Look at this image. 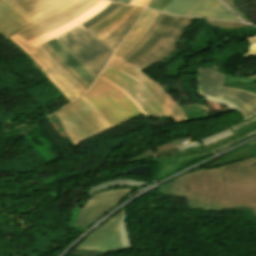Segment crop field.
<instances>
[{
	"label": "crop field",
	"mask_w": 256,
	"mask_h": 256,
	"mask_svg": "<svg viewBox=\"0 0 256 256\" xmlns=\"http://www.w3.org/2000/svg\"><path fill=\"white\" fill-rule=\"evenodd\" d=\"M174 179L158 190L186 197V206L212 212L242 209L256 215V159L245 149Z\"/></svg>",
	"instance_id": "crop-field-1"
},
{
	"label": "crop field",
	"mask_w": 256,
	"mask_h": 256,
	"mask_svg": "<svg viewBox=\"0 0 256 256\" xmlns=\"http://www.w3.org/2000/svg\"><path fill=\"white\" fill-rule=\"evenodd\" d=\"M35 25L18 33L26 41L85 13L101 0H11Z\"/></svg>",
	"instance_id": "crop-field-2"
},
{
	"label": "crop field",
	"mask_w": 256,
	"mask_h": 256,
	"mask_svg": "<svg viewBox=\"0 0 256 256\" xmlns=\"http://www.w3.org/2000/svg\"><path fill=\"white\" fill-rule=\"evenodd\" d=\"M83 96L113 128L143 115L126 94L99 77Z\"/></svg>",
	"instance_id": "crop-field-3"
},
{
	"label": "crop field",
	"mask_w": 256,
	"mask_h": 256,
	"mask_svg": "<svg viewBox=\"0 0 256 256\" xmlns=\"http://www.w3.org/2000/svg\"><path fill=\"white\" fill-rule=\"evenodd\" d=\"M56 40L96 79L114 53L83 26L59 36Z\"/></svg>",
	"instance_id": "crop-field-4"
},
{
	"label": "crop field",
	"mask_w": 256,
	"mask_h": 256,
	"mask_svg": "<svg viewBox=\"0 0 256 256\" xmlns=\"http://www.w3.org/2000/svg\"><path fill=\"white\" fill-rule=\"evenodd\" d=\"M56 114L72 142H78L111 128L104 118L82 96Z\"/></svg>",
	"instance_id": "crop-field-5"
},
{
	"label": "crop field",
	"mask_w": 256,
	"mask_h": 256,
	"mask_svg": "<svg viewBox=\"0 0 256 256\" xmlns=\"http://www.w3.org/2000/svg\"><path fill=\"white\" fill-rule=\"evenodd\" d=\"M99 77L125 92L144 116H170L165 107L131 75L106 65Z\"/></svg>",
	"instance_id": "crop-field-6"
},
{
	"label": "crop field",
	"mask_w": 256,
	"mask_h": 256,
	"mask_svg": "<svg viewBox=\"0 0 256 256\" xmlns=\"http://www.w3.org/2000/svg\"><path fill=\"white\" fill-rule=\"evenodd\" d=\"M21 48H23L29 56H31L44 69V74L53 82V84L63 93V95L71 102L85 90L76 83L39 45L35 48L31 47L25 40L17 34L10 37ZM22 49V50H23Z\"/></svg>",
	"instance_id": "crop-field-7"
},
{
	"label": "crop field",
	"mask_w": 256,
	"mask_h": 256,
	"mask_svg": "<svg viewBox=\"0 0 256 256\" xmlns=\"http://www.w3.org/2000/svg\"><path fill=\"white\" fill-rule=\"evenodd\" d=\"M137 188H117L93 194L81 208L76 226L86 230Z\"/></svg>",
	"instance_id": "crop-field-8"
},
{
	"label": "crop field",
	"mask_w": 256,
	"mask_h": 256,
	"mask_svg": "<svg viewBox=\"0 0 256 256\" xmlns=\"http://www.w3.org/2000/svg\"><path fill=\"white\" fill-rule=\"evenodd\" d=\"M108 65L121 69L138 79L140 83L166 107L170 115L178 122V124L187 121L185 114L172 97L165 93L160 85L143 74L135 66L125 63L113 56L108 62Z\"/></svg>",
	"instance_id": "crop-field-9"
},
{
	"label": "crop field",
	"mask_w": 256,
	"mask_h": 256,
	"mask_svg": "<svg viewBox=\"0 0 256 256\" xmlns=\"http://www.w3.org/2000/svg\"><path fill=\"white\" fill-rule=\"evenodd\" d=\"M193 19L194 18L176 17L158 46L141 61L133 65L143 71L170 55L176 48V43L181 34Z\"/></svg>",
	"instance_id": "crop-field-10"
},
{
	"label": "crop field",
	"mask_w": 256,
	"mask_h": 256,
	"mask_svg": "<svg viewBox=\"0 0 256 256\" xmlns=\"http://www.w3.org/2000/svg\"><path fill=\"white\" fill-rule=\"evenodd\" d=\"M143 10L144 8L133 6L132 9L124 14L118 21L107 29L95 34V36L115 52L117 46L134 25Z\"/></svg>",
	"instance_id": "crop-field-11"
},
{
	"label": "crop field",
	"mask_w": 256,
	"mask_h": 256,
	"mask_svg": "<svg viewBox=\"0 0 256 256\" xmlns=\"http://www.w3.org/2000/svg\"><path fill=\"white\" fill-rule=\"evenodd\" d=\"M33 23L10 1L0 0V34L8 38Z\"/></svg>",
	"instance_id": "crop-field-12"
},
{
	"label": "crop field",
	"mask_w": 256,
	"mask_h": 256,
	"mask_svg": "<svg viewBox=\"0 0 256 256\" xmlns=\"http://www.w3.org/2000/svg\"><path fill=\"white\" fill-rule=\"evenodd\" d=\"M74 250L110 253L123 250L119 232L103 233L94 231Z\"/></svg>",
	"instance_id": "crop-field-13"
},
{
	"label": "crop field",
	"mask_w": 256,
	"mask_h": 256,
	"mask_svg": "<svg viewBox=\"0 0 256 256\" xmlns=\"http://www.w3.org/2000/svg\"><path fill=\"white\" fill-rule=\"evenodd\" d=\"M157 14H158L157 11L145 9L140 20L130 31V33L128 34L126 39L123 41L119 49L116 51L114 56L121 59L134 46V44L142 37V35L145 33V31L154 21Z\"/></svg>",
	"instance_id": "crop-field-14"
},
{
	"label": "crop field",
	"mask_w": 256,
	"mask_h": 256,
	"mask_svg": "<svg viewBox=\"0 0 256 256\" xmlns=\"http://www.w3.org/2000/svg\"><path fill=\"white\" fill-rule=\"evenodd\" d=\"M188 16L241 22L218 0H202Z\"/></svg>",
	"instance_id": "crop-field-15"
},
{
	"label": "crop field",
	"mask_w": 256,
	"mask_h": 256,
	"mask_svg": "<svg viewBox=\"0 0 256 256\" xmlns=\"http://www.w3.org/2000/svg\"><path fill=\"white\" fill-rule=\"evenodd\" d=\"M174 19V16L164 14L162 19L155 27L151 36L138 48V50L130 58L128 57L129 59L126 60V62L133 64L141 60L144 56L151 52L159 43L165 31Z\"/></svg>",
	"instance_id": "crop-field-16"
},
{
	"label": "crop field",
	"mask_w": 256,
	"mask_h": 256,
	"mask_svg": "<svg viewBox=\"0 0 256 256\" xmlns=\"http://www.w3.org/2000/svg\"><path fill=\"white\" fill-rule=\"evenodd\" d=\"M221 99H225L237 106L245 118L256 112V95L242 90L222 87Z\"/></svg>",
	"instance_id": "crop-field-17"
},
{
	"label": "crop field",
	"mask_w": 256,
	"mask_h": 256,
	"mask_svg": "<svg viewBox=\"0 0 256 256\" xmlns=\"http://www.w3.org/2000/svg\"><path fill=\"white\" fill-rule=\"evenodd\" d=\"M111 1L108 0H103L101 1L98 5H96L94 8H92L91 10H89L88 12H86L85 14L81 15L80 17H78L77 19L45 34L42 35L40 37H37L33 40L28 41V43L30 45H32L33 47L44 43L50 39H53L61 34H63L64 32L80 25L82 22H84L85 20L89 19L90 17H92L94 14H96L98 11H100L102 8H104L106 5H108Z\"/></svg>",
	"instance_id": "crop-field-18"
},
{
	"label": "crop field",
	"mask_w": 256,
	"mask_h": 256,
	"mask_svg": "<svg viewBox=\"0 0 256 256\" xmlns=\"http://www.w3.org/2000/svg\"><path fill=\"white\" fill-rule=\"evenodd\" d=\"M223 75L199 67V93L219 98Z\"/></svg>",
	"instance_id": "crop-field-19"
},
{
	"label": "crop field",
	"mask_w": 256,
	"mask_h": 256,
	"mask_svg": "<svg viewBox=\"0 0 256 256\" xmlns=\"http://www.w3.org/2000/svg\"><path fill=\"white\" fill-rule=\"evenodd\" d=\"M46 43L91 86L95 79L55 39Z\"/></svg>",
	"instance_id": "crop-field-20"
},
{
	"label": "crop field",
	"mask_w": 256,
	"mask_h": 256,
	"mask_svg": "<svg viewBox=\"0 0 256 256\" xmlns=\"http://www.w3.org/2000/svg\"><path fill=\"white\" fill-rule=\"evenodd\" d=\"M201 0H172L163 12L187 16Z\"/></svg>",
	"instance_id": "crop-field-21"
},
{
	"label": "crop field",
	"mask_w": 256,
	"mask_h": 256,
	"mask_svg": "<svg viewBox=\"0 0 256 256\" xmlns=\"http://www.w3.org/2000/svg\"><path fill=\"white\" fill-rule=\"evenodd\" d=\"M43 49L76 81L78 82L86 91L90 87L80 76H78L46 43L41 44Z\"/></svg>",
	"instance_id": "crop-field-22"
},
{
	"label": "crop field",
	"mask_w": 256,
	"mask_h": 256,
	"mask_svg": "<svg viewBox=\"0 0 256 256\" xmlns=\"http://www.w3.org/2000/svg\"><path fill=\"white\" fill-rule=\"evenodd\" d=\"M131 6L123 4L121 7H119L114 13H112L108 18H106L104 21L96 25L95 27L89 29L93 34L105 29L110 24L118 20L124 13H126L128 10H130Z\"/></svg>",
	"instance_id": "crop-field-23"
},
{
	"label": "crop field",
	"mask_w": 256,
	"mask_h": 256,
	"mask_svg": "<svg viewBox=\"0 0 256 256\" xmlns=\"http://www.w3.org/2000/svg\"><path fill=\"white\" fill-rule=\"evenodd\" d=\"M121 3H115L112 2L107 7H105L103 10H101L99 13H97L95 16L90 18L89 20L85 21L81 25H83L85 28H90L102 20H104L106 17H108L112 12H114L119 6H121Z\"/></svg>",
	"instance_id": "crop-field-24"
},
{
	"label": "crop field",
	"mask_w": 256,
	"mask_h": 256,
	"mask_svg": "<svg viewBox=\"0 0 256 256\" xmlns=\"http://www.w3.org/2000/svg\"><path fill=\"white\" fill-rule=\"evenodd\" d=\"M163 16V13H159L158 16L156 17L155 21L153 24L150 26V28L146 31V33L143 35V37L135 44V46L122 58V60H126L128 57H130L136 50L137 48L149 37V35L152 33L154 27L158 23V21L161 19Z\"/></svg>",
	"instance_id": "crop-field-25"
},
{
	"label": "crop field",
	"mask_w": 256,
	"mask_h": 256,
	"mask_svg": "<svg viewBox=\"0 0 256 256\" xmlns=\"http://www.w3.org/2000/svg\"><path fill=\"white\" fill-rule=\"evenodd\" d=\"M124 210L117 213L115 216H113L111 219H109L107 222H105L97 230H99V231H114V230H116L119 225V222H120V219H121V216H122Z\"/></svg>",
	"instance_id": "crop-field-26"
},
{
	"label": "crop field",
	"mask_w": 256,
	"mask_h": 256,
	"mask_svg": "<svg viewBox=\"0 0 256 256\" xmlns=\"http://www.w3.org/2000/svg\"><path fill=\"white\" fill-rule=\"evenodd\" d=\"M241 39H246L250 45V47H248V49L244 52L241 58L255 56L256 55V37H247V38H241Z\"/></svg>",
	"instance_id": "crop-field-27"
},
{
	"label": "crop field",
	"mask_w": 256,
	"mask_h": 256,
	"mask_svg": "<svg viewBox=\"0 0 256 256\" xmlns=\"http://www.w3.org/2000/svg\"><path fill=\"white\" fill-rule=\"evenodd\" d=\"M208 23L223 27V28H237V27H244L248 26L242 23H235V22H225V21H215V20H207Z\"/></svg>",
	"instance_id": "crop-field-28"
},
{
	"label": "crop field",
	"mask_w": 256,
	"mask_h": 256,
	"mask_svg": "<svg viewBox=\"0 0 256 256\" xmlns=\"http://www.w3.org/2000/svg\"><path fill=\"white\" fill-rule=\"evenodd\" d=\"M201 98H204L212 103H216V104H220V105H224V106H227L229 108H232V109H235L237 110L240 114L241 112L239 111L238 108H236L234 105H232L231 103L225 101V100H221V99H217V98H212V97H208V96H203V95H197ZM241 116L244 118V116L241 114Z\"/></svg>",
	"instance_id": "crop-field-29"
},
{
	"label": "crop field",
	"mask_w": 256,
	"mask_h": 256,
	"mask_svg": "<svg viewBox=\"0 0 256 256\" xmlns=\"http://www.w3.org/2000/svg\"><path fill=\"white\" fill-rule=\"evenodd\" d=\"M170 1L171 0H152L147 7L162 11Z\"/></svg>",
	"instance_id": "crop-field-30"
},
{
	"label": "crop field",
	"mask_w": 256,
	"mask_h": 256,
	"mask_svg": "<svg viewBox=\"0 0 256 256\" xmlns=\"http://www.w3.org/2000/svg\"><path fill=\"white\" fill-rule=\"evenodd\" d=\"M235 13H237L244 21L252 23L235 5L234 0H223Z\"/></svg>",
	"instance_id": "crop-field-31"
},
{
	"label": "crop field",
	"mask_w": 256,
	"mask_h": 256,
	"mask_svg": "<svg viewBox=\"0 0 256 256\" xmlns=\"http://www.w3.org/2000/svg\"><path fill=\"white\" fill-rule=\"evenodd\" d=\"M223 82L253 83V82H256V79H250V78H235V77L225 76Z\"/></svg>",
	"instance_id": "crop-field-32"
},
{
	"label": "crop field",
	"mask_w": 256,
	"mask_h": 256,
	"mask_svg": "<svg viewBox=\"0 0 256 256\" xmlns=\"http://www.w3.org/2000/svg\"><path fill=\"white\" fill-rule=\"evenodd\" d=\"M80 210L81 209H79V208H75L74 211L72 212L71 217H70V229H73Z\"/></svg>",
	"instance_id": "crop-field-33"
},
{
	"label": "crop field",
	"mask_w": 256,
	"mask_h": 256,
	"mask_svg": "<svg viewBox=\"0 0 256 256\" xmlns=\"http://www.w3.org/2000/svg\"><path fill=\"white\" fill-rule=\"evenodd\" d=\"M245 148L256 158V140L253 142L244 145ZM242 146V147H244Z\"/></svg>",
	"instance_id": "crop-field-34"
},
{
	"label": "crop field",
	"mask_w": 256,
	"mask_h": 256,
	"mask_svg": "<svg viewBox=\"0 0 256 256\" xmlns=\"http://www.w3.org/2000/svg\"><path fill=\"white\" fill-rule=\"evenodd\" d=\"M149 0H132L131 5L146 7Z\"/></svg>",
	"instance_id": "crop-field-35"
},
{
	"label": "crop field",
	"mask_w": 256,
	"mask_h": 256,
	"mask_svg": "<svg viewBox=\"0 0 256 256\" xmlns=\"http://www.w3.org/2000/svg\"><path fill=\"white\" fill-rule=\"evenodd\" d=\"M74 229L77 230V231H79V232H81V233L84 232V230H82V229H80V228H78V227H76V226H75Z\"/></svg>",
	"instance_id": "crop-field-36"
},
{
	"label": "crop field",
	"mask_w": 256,
	"mask_h": 256,
	"mask_svg": "<svg viewBox=\"0 0 256 256\" xmlns=\"http://www.w3.org/2000/svg\"><path fill=\"white\" fill-rule=\"evenodd\" d=\"M131 0H121V2H124L126 4H129Z\"/></svg>",
	"instance_id": "crop-field-37"
},
{
	"label": "crop field",
	"mask_w": 256,
	"mask_h": 256,
	"mask_svg": "<svg viewBox=\"0 0 256 256\" xmlns=\"http://www.w3.org/2000/svg\"><path fill=\"white\" fill-rule=\"evenodd\" d=\"M115 1H118V0H115Z\"/></svg>",
	"instance_id": "crop-field-38"
}]
</instances>
